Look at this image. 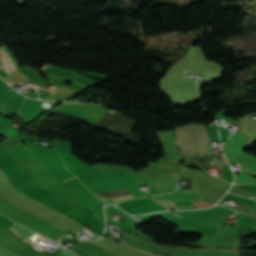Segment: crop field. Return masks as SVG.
<instances>
[{
  "instance_id": "d8731c3e",
  "label": "crop field",
  "mask_w": 256,
  "mask_h": 256,
  "mask_svg": "<svg viewBox=\"0 0 256 256\" xmlns=\"http://www.w3.org/2000/svg\"><path fill=\"white\" fill-rule=\"evenodd\" d=\"M124 243V242H123ZM124 244H126V243H124Z\"/></svg>"
},
{
  "instance_id": "ac0d7876",
  "label": "crop field",
  "mask_w": 256,
  "mask_h": 256,
  "mask_svg": "<svg viewBox=\"0 0 256 256\" xmlns=\"http://www.w3.org/2000/svg\"><path fill=\"white\" fill-rule=\"evenodd\" d=\"M94 194L105 197V198H110V197L128 195V194H131V193L127 189H121V190L97 192V193H94Z\"/></svg>"
},
{
  "instance_id": "412701ff",
  "label": "crop field",
  "mask_w": 256,
  "mask_h": 256,
  "mask_svg": "<svg viewBox=\"0 0 256 256\" xmlns=\"http://www.w3.org/2000/svg\"><path fill=\"white\" fill-rule=\"evenodd\" d=\"M22 227V226H21ZM10 229H12L11 227H9ZM24 228V227H23ZM26 229V228H25ZM13 230V229H12ZM28 230V229H27ZM14 231V230H13ZM30 231V230H29ZM15 232V231H14ZM32 232V231H31ZM34 233V232H33ZM15 234L17 235V236H19L16 232H15Z\"/></svg>"
},
{
  "instance_id": "e52e79f7",
  "label": "crop field",
  "mask_w": 256,
  "mask_h": 256,
  "mask_svg": "<svg viewBox=\"0 0 256 256\" xmlns=\"http://www.w3.org/2000/svg\"><path fill=\"white\" fill-rule=\"evenodd\" d=\"M249 170V169H248ZM251 171V170H250ZM253 172V171H252Z\"/></svg>"
},
{
  "instance_id": "3316defc",
  "label": "crop field",
  "mask_w": 256,
  "mask_h": 256,
  "mask_svg": "<svg viewBox=\"0 0 256 256\" xmlns=\"http://www.w3.org/2000/svg\"><path fill=\"white\" fill-rule=\"evenodd\" d=\"M193 203V202H192Z\"/></svg>"
},
{
  "instance_id": "f4fd0767",
  "label": "crop field",
  "mask_w": 256,
  "mask_h": 256,
  "mask_svg": "<svg viewBox=\"0 0 256 256\" xmlns=\"http://www.w3.org/2000/svg\"><path fill=\"white\" fill-rule=\"evenodd\" d=\"M73 177H74V176H73ZM70 178H72V177H70ZM70 178H67V179H70ZM67 179L61 180V182L65 181V180H67Z\"/></svg>"
},
{
  "instance_id": "34b2d1b8",
  "label": "crop field",
  "mask_w": 256,
  "mask_h": 256,
  "mask_svg": "<svg viewBox=\"0 0 256 256\" xmlns=\"http://www.w3.org/2000/svg\"><path fill=\"white\" fill-rule=\"evenodd\" d=\"M129 198H133V196H130V197H124V198H118V199H112V200H113V201H116V202H120V201H123V200L129 199Z\"/></svg>"
},
{
  "instance_id": "5a996713",
  "label": "crop field",
  "mask_w": 256,
  "mask_h": 256,
  "mask_svg": "<svg viewBox=\"0 0 256 256\" xmlns=\"http://www.w3.org/2000/svg\"><path fill=\"white\" fill-rule=\"evenodd\" d=\"M186 208H188V207H186Z\"/></svg>"
},
{
  "instance_id": "8a807250",
  "label": "crop field",
  "mask_w": 256,
  "mask_h": 256,
  "mask_svg": "<svg viewBox=\"0 0 256 256\" xmlns=\"http://www.w3.org/2000/svg\"><path fill=\"white\" fill-rule=\"evenodd\" d=\"M0 59L4 63L5 71L7 72V74L17 69L15 65L12 63V61L10 60V58L7 56V54L4 52L2 47L0 48Z\"/></svg>"
},
{
  "instance_id": "dd49c442",
  "label": "crop field",
  "mask_w": 256,
  "mask_h": 256,
  "mask_svg": "<svg viewBox=\"0 0 256 256\" xmlns=\"http://www.w3.org/2000/svg\"><path fill=\"white\" fill-rule=\"evenodd\" d=\"M174 214V213H173ZM176 215V214H175ZM176 216H178V215H176ZM179 217V216H178ZM179 218H181V217H179ZM181 219H183V218H181Z\"/></svg>"
},
{
  "instance_id": "28ad6ade",
  "label": "crop field",
  "mask_w": 256,
  "mask_h": 256,
  "mask_svg": "<svg viewBox=\"0 0 256 256\" xmlns=\"http://www.w3.org/2000/svg\"><path fill=\"white\" fill-rule=\"evenodd\" d=\"M111 199V198H110Z\"/></svg>"
}]
</instances>
